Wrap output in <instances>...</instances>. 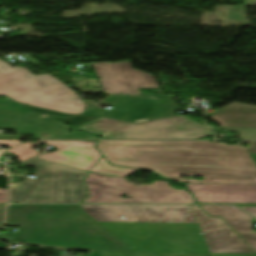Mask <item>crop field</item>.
Masks as SVG:
<instances>
[{"label":"crop field","instance_id":"crop-field-12","mask_svg":"<svg viewBox=\"0 0 256 256\" xmlns=\"http://www.w3.org/2000/svg\"><path fill=\"white\" fill-rule=\"evenodd\" d=\"M41 142L55 147L57 151L45 153L37 158L86 171H89L101 156L94 147L95 142L38 141L35 144Z\"/></svg>","mask_w":256,"mask_h":256},{"label":"crop field","instance_id":"crop-field-9","mask_svg":"<svg viewBox=\"0 0 256 256\" xmlns=\"http://www.w3.org/2000/svg\"><path fill=\"white\" fill-rule=\"evenodd\" d=\"M0 127L17 130L18 134L2 138H17L20 134H30L38 139H87L92 136L86 132L65 134L66 128L52 118L5 110H0ZM43 132L49 133L51 137H40Z\"/></svg>","mask_w":256,"mask_h":256},{"label":"crop field","instance_id":"crop-field-11","mask_svg":"<svg viewBox=\"0 0 256 256\" xmlns=\"http://www.w3.org/2000/svg\"><path fill=\"white\" fill-rule=\"evenodd\" d=\"M210 253H255L220 218H210L198 206H192Z\"/></svg>","mask_w":256,"mask_h":256},{"label":"crop field","instance_id":"crop-field-5","mask_svg":"<svg viewBox=\"0 0 256 256\" xmlns=\"http://www.w3.org/2000/svg\"><path fill=\"white\" fill-rule=\"evenodd\" d=\"M0 95L66 113L83 112V102L75 93L49 74L33 76L24 68H13L1 60Z\"/></svg>","mask_w":256,"mask_h":256},{"label":"crop field","instance_id":"crop-field-18","mask_svg":"<svg viewBox=\"0 0 256 256\" xmlns=\"http://www.w3.org/2000/svg\"><path fill=\"white\" fill-rule=\"evenodd\" d=\"M225 131H238L240 139H256V128H221Z\"/></svg>","mask_w":256,"mask_h":256},{"label":"crop field","instance_id":"crop-field-19","mask_svg":"<svg viewBox=\"0 0 256 256\" xmlns=\"http://www.w3.org/2000/svg\"><path fill=\"white\" fill-rule=\"evenodd\" d=\"M53 118H54V117H53ZM97 118H100V117H95V116H74V117L56 118V119H59V120H61V121L67 122V123H69V124L78 126V125H81V124H83V123H86V122L95 120V119H97Z\"/></svg>","mask_w":256,"mask_h":256},{"label":"crop field","instance_id":"crop-field-27","mask_svg":"<svg viewBox=\"0 0 256 256\" xmlns=\"http://www.w3.org/2000/svg\"><path fill=\"white\" fill-rule=\"evenodd\" d=\"M23 105L32 109V110H35V111H37L39 109L38 107H34V106L26 105V104H23Z\"/></svg>","mask_w":256,"mask_h":256},{"label":"crop field","instance_id":"crop-field-17","mask_svg":"<svg viewBox=\"0 0 256 256\" xmlns=\"http://www.w3.org/2000/svg\"><path fill=\"white\" fill-rule=\"evenodd\" d=\"M32 144L31 143H26L23 144L17 148L11 149L9 151H6V153H14L17 155V157H19L18 161H24L36 154H38L37 152L31 150L29 147H31Z\"/></svg>","mask_w":256,"mask_h":256},{"label":"crop field","instance_id":"crop-field-22","mask_svg":"<svg viewBox=\"0 0 256 256\" xmlns=\"http://www.w3.org/2000/svg\"><path fill=\"white\" fill-rule=\"evenodd\" d=\"M161 256H256L241 254H179V253H160Z\"/></svg>","mask_w":256,"mask_h":256},{"label":"crop field","instance_id":"crop-field-7","mask_svg":"<svg viewBox=\"0 0 256 256\" xmlns=\"http://www.w3.org/2000/svg\"><path fill=\"white\" fill-rule=\"evenodd\" d=\"M86 183L90 197L83 203H194L189 193L172 188L168 182L155 181L134 187L124 178H110L89 172ZM122 195L131 199H122Z\"/></svg>","mask_w":256,"mask_h":256},{"label":"crop field","instance_id":"crop-field-3","mask_svg":"<svg viewBox=\"0 0 256 256\" xmlns=\"http://www.w3.org/2000/svg\"><path fill=\"white\" fill-rule=\"evenodd\" d=\"M6 224L20 227L11 244L132 252L125 240L86 217L78 205L8 206Z\"/></svg>","mask_w":256,"mask_h":256},{"label":"crop field","instance_id":"crop-field-24","mask_svg":"<svg viewBox=\"0 0 256 256\" xmlns=\"http://www.w3.org/2000/svg\"><path fill=\"white\" fill-rule=\"evenodd\" d=\"M0 144L13 147L21 143L18 141H0Z\"/></svg>","mask_w":256,"mask_h":256},{"label":"crop field","instance_id":"crop-field-14","mask_svg":"<svg viewBox=\"0 0 256 256\" xmlns=\"http://www.w3.org/2000/svg\"><path fill=\"white\" fill-rule=\"evenodd\" d=\"M211 216H221L256 251V233H252V216L234 206H201Z\"/></svg>","mask_w":256,"mask_h":256},{"label":"crop field","instance_id":"crop-field-1","mask_svg":"<svg viewBox=\"0 0 256 256\" xmlns=\"http://www.w3.org/2000/svg\"><path fill=\"white\" fill-rule=\"evenodd\" d=\"M97 146L115 165L151 169L181 182L256 183V164L240 146L185 141H101ZM179 174L205 179H177Z\"/></svg>","mask_w":256,"mask_h":256},{"label":"crop field","instance_id":"crop-field-8","mask_svg":"<svg viewBox=\"0 0 256 256\" xmlns=\"http://www.w3.org/2000/svg\"><path fill=\"white\" fill-rule=\"evenodd\" d=\"M148 96V95H142ZM140 95L112 94L108 95L98 104L94 101H84V113L107 118L139 122L170 115L177 107L172 103L175 95H152L158 100L144 98ZM100 103H107L112 110H105L99 107ZM38 112L66 117L73 114H66L58 111L40 108Z\"/></svg>","mask_w":256,"mask_h":256},{"label":"crop field","instance_id":"crop-field-21","mask_svg":"<svg viewBox=\"0 0 256 256\" xmlns=\"http://www.w3.org/2000/svg\"><path fill=\"white\" fill-rule=\"evenodd\" d=\"M0 109H6V110H15V111H24V112H32L18 103H11L7 101L0 100ZM34 113V112H32Z\"/></svg>","mask_w":256,"mask_h":256},{"label":"crop field","instance_id":"crop-field-28","mask_svg":"<svg viewBox=\"0 0 256 256\" xmlns=\"http://www.w3.org/2000/svg\"><path fill=\"white\" fill-rule=\"evenodd\" d=\"M250 155L254 159V161L256 162V154H250Z\"/></svg>","mask_w":256,"mask_h":256},{"label":"crop field","instance_id":"crop-field-4","mask_svg":"<svg viewBox=\"0 0 256 256\" xmlns=\"http://www.w3.org/2000/svg\"><path fill=\"white\" fill-rule=\"evenodd\" d=\"M36 167V178L18 184L11 183L10 201L20 203H80L87 197L83 185L86 171L77 170L34 158L21 165L22 171L14 167L15 175H25L24 167Z\"/></svg>","mask_w":256,"mask_h":256},{"label":"crop field","instance_id":"crop-field-2","mask_svg":"<svg viewBox=\"0 0 256 256\" xmlns=\"http://www.w3.org/2000/svg\"><path fill=\"white\" fill-rule=\"evenodd\" d=\"M81 206L87 215L128 240L135 252L209 253L190 205Z\"/></svg>","mask_w":256,"mask_h":256},{"label":"crop field","instance_id":"crop-field-23","mask_svg":"<svg viewBox=\"0 0 256 256\" xmlns=\"http://www.w3.org/2000/svg\"><path fill=\"white\" fill-rule=\"evenodd\" d=\"M256 217V205H236Z\"/></svg>","mask_w":256,"mask_h":256},{"label":"crop field","instance_id":"crop-field-25","mask_svg":"<svg viewBox=\"0 0 256 256\" xmlns=\"http://www.w3.org/2000/svg\"><path fill=\"white\" fill-rule=\"evenodd\" d=\"M7 197L6 190H0V203H5Z\"/></svg>","mask_w":256,"mask_h":256},{"label":"crop field","instance_id":"crop-field-16","mask_svg":"<svg viewBox=\"0 0 256 256\" xmlns=\"http://www.w3.org/2000/svg\"><path fill=\"white\" fill-rule=\"evenodd\" d=\"M135 171L137 170L112 167L111 165L108 164V162L104 159V157L91 170V172H95L101 175H111V176H118V177H126L134 173Z\"/></svg>","mask_w":256,"mask_h":256},{"label":"crop field","instance_id":"crop-field-6","mask_svg":"<svg viewBox=\"0 0 256 256\" xmlns=\"http://www.w3.org/2000/svg\"><path fill=\"white\" fill-rule=\"evenodd\" d=\"M102 139H197L212 135L208 127L184 115H175L139 124L100 118L78 126Z\"/></svg>","mask_w":256,"mask_h":256},{"label":"crop field","instance_id":"crop-field-13","mask_svg":"<svg viewBox=\"0 0 256 256\" xmlns=\"http://www.w3.org/2000/svg\"><path fill=\"white\" fill-rule=\"evenodd\" d=\"M186 185L201 203H256V184Z\"/></svg>","mask_w":256,"mask_h":256},{"label":"crop field","instance_id":"crop-field-26","mask_svg":"<svg viewBox=\"0 0 256 256\" xmlns=\"http://www.w3.org/2000/svg\"><path fill=\"white\" fill-rule=\"evenodd\" d=\"M5 205L0 204V227L2 225Z\"/></svg>","mask_w":256,"mask_h":256},{"label":"crop field","instance_id":"crop-field-15","mask_svg":"<svg viewBox=\"0 0 256 256\" xmlns=\"http://www.w3.org/2000/svg\"><path fill=\"white\" fill-rule=\"evenodd\" d=\"M211 116L221 127H256V106L233 102Z\"/></svg>","mask_w":256,"mask_h":256},{"label":"crop field","instance_id":"crop-field-10","mask_svg":"<svg viewBox=\"0 0 256 256\" xmlns=\"http://www.w3.org/2000/svg\"><path fill=\"white\" fill-rule=\"evenodd\" d=\"M105 93L140 94V88H158L152 75L131 69L129 62L93 64Z\"/></svg>","mask_w":256,"mask_h":256},{"label":"crop field","instance_id":"crop-field-20","mask_svg":"<svg viewBox=\"0 0 256 256\" xmlns=\"http://www.w3.org/2000/svg\"><path fill=\"white\" fill-rule=\"evenodd\" d=\"M101 256H160L159 253L99 252Z\"/></svg>","mask_w":256,"mask_h":256}]
</instances>
